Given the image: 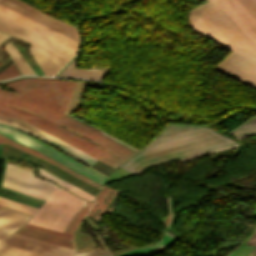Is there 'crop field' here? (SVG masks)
Masks as SVG:
<instances>
[{"label":"crop field","mask_w":256,"mask_h":256,"mask_svg":"<svg viewBox=\"0 0 256 256\" xmlns=\"http://www.w3.org/2000/svg\"><path fill=\"white\" fill-rule=\"evenodd\" d=\"M189 18L195 30L232 50L214 69L256 88V0H208Z\"/></svg>","instance_id":"crop-field-1"},{"label":"crop field","mask_w":256,"mask_h":256,"mask_svg":"<svg viewBox=\"0 0 256 256\" xmlns=\"http://www.w3.org/2000/svg\"><path fill=\"white\" fill-rule=\"evenodd\" d=\"M20 107L28 109L40 116H43L55 123L63 119L66 114L44 105L36 100L0 92V114L20 119L46 133L71 144L72 146L92 155L93 157L117 167L128 157L139 149L87 124L70 115H68L61 124L87 136L94 142L27 110L15 108Z\"/></svg>","instance_id":"crop-field-2"},{"label":"crop field","mask_w":256,"mask_h":256,"mask_svg":"<svg viewBox=\"0 0 256 256\" xmlns=\"http://www.w3.org/2000/svg\"><path fill=\"white\" fill-rule=\"evenodd\" d=\"M231 142L235 141L204 125L168 124L160 135L120 167L137 174L157 163Z\"/></svg>","instance_id":"crop-field-3"},{"label":"crop field","mask_w":256,"mask_h":256,"mask_svg":"<svg viewBox=\"0 0 256 256\" xmlns=\"http://www.w3.org/2000/svg\"><path fill=\"white\" fill-rule=\"evenodd\" d=\"M0 13L17 21L20 22L48 37H51L75 50L78 51V45L79 43L0 4ZM0 14V26L4 27L6 29L12 30L14 32H17L43 46H45L46 48L50 49L51 51L67 58V59H71L76 53L77 51L51 39L48 38L20 23H17L3 15Z\"/></svg>","instance_id":"crop-field-4"},{"label":"crop field","mask_w":256,"mask_h":256,"mask_svg":"<svg viewBox=\"0 0 256 256\" xmlns=\"http://www.w3.org/2000/svg\"><path fill=\"white\" fill-rule=\"evenodd\" d=\"M75 82L59 79L25 78L2 84L16 90V93L3 89L0 91L36 99L63 112Z\"/></svg>","instance_id":"crop-field-5"},{"label":"crop field","mask_w":256,"mask_h":256,"mask_svg":"<svg viewBox=\"0 0 256 256\" xmlns=\"http://www.w3.org/2000/svg\"><path fill=\"white\" fill-rule=\"evenodd\" d=\"M84 202L85 200L58 187L29 224L62 232L68 220Z\"/></svg>","instance_id":"crop-field-6"},{"label":"crop field","mask_w":256,"mask_h":256,"mask_svg":"<svg viewBox=\"0 0 256 256\" xmlns=\"http://www.w3.org/2000/svg\"><path fill=\"white\" fill-rule=\"evenodd\" d=\"M0 134L5 135L11 139H14L28 147H31L49 157H51V158L61 162L62 164L74 169L75 171L89 177L90 179H92L102 185L106 179L105 176L91 170L88 167H85V166L79 164L78 162L74 161L73 159L64 155L63 153L57 151L56 149L34 139L33 137H31L19 130H16L14 128L7 127V126L0 124Z\"/></svg>","instance_id":"crop-field-7"},{"label":"crop field","mask_w":256,"mask_h":256,"mask_svg":"<svg viewBox=\"0 0 256 256\" xmlns=\"http://www.w3.org/2000/svg\"><path fill=\"white\" fill-rule=\"evenodd\" d=\"M3 187L46 200L57 186L33 177L31 171L7 163Z\"/></svg>","instance_id":"crop-field-8"},{"label":"crop field","mask_w":256,"mask_h":256,"mask_svg":"<svg viewBox=\"0 0 256 256\" xmlns=\"http://www.w3.org/2000/svg\"><path fill=\"white\" fill-rule=\"evenodd\" d=\"M0 3L79 42L76 28L60 20L49 17L19 0H0Z\"/></svg>","instance_id":"crop-field-9"},{"label":"crop field","mask_w":256,"mask_h":256,"mask_svg":"<svg viewBox=\"0 0 256 256\" xmlns=\"http://www.w3.org/2000/svg\"><path fill=\"white\" fill-rule=\"evenodd\" d=\"M116 190L103 186L94 203L86 201L77 213L70 219L64 232L73 234L84 215H90L96 221L103 214ZM63 232V231H62Z\"/></svg>","instance_id":"crop-field-10"},{"label":"crop field","mask_w":256,"mask_h":256,"mask_svg":"<svg viewBox=\"0 0 256 256\" xmlns=\"http://www.w3.org/2000/svg\"><path fill=\"white\" fill-rule=\"evenodd\" d=\"M43 140L69 152L70 154L74 155L75 157L83 160L85 163H87L92 168H94L106 175H109L115 169V168L93 158L92 156L72 147L71 145L49 135V134Z\"/></svg>","instance_id":"crop-field-11"},{"label":"crop field","mask_w":256,"mask_h":256,"mask_svg":"<svg viewBox=\"0 0 256 256\" xmlns=\"http://www.w3.org/2000/svg\"><path fill=\"white\" fill-rule=\"evenodd\" d=\"M30 219V216L20 212L4 209L0 211V241L8 237L22 227Z\"/></svg>","instance_id":"crop-field-12"},{"label":"crop field","mask_w":256,"mask_h":256,"mask_svg":"<svg viewBox=\"0 0 256 256\" xmlns=\"http://www.w3.org/2000/svg\"><path fill=\"white\" fill-rule=\"evenodd\" d=\"M4 242H8L14 245H18L48 256H72V253L65 252L56 248H52L46 245H42L33 241H29L20 237L11 235Z\"/></svg>","instance_id":"crop-field-13"},{"label":"crop field","mask_w":256,"mask_h":256,"mask_svg":"<svg viewBox=\"0 0 256 256\" xmlns=\"http://www.w3.org/2000/svg\"><path fill=\"white\" fill-rule=\"evenodd\" d=\"M0 143H7V144H9L11 146L19 148V149H21L23 151H26V152L30 153V154L38 156V157H40V158H42V159H44V160H46V161H48V162L58 166L59 168H61V169L65 170V171L71 173L72 175H74V176H76V177L86 181L87 183H89V184H91V185H93V186H95V187H97L99 189L102 186V185H100V184H98V183L88 179L87 177H85V176L75 172L74 170H72V169H70V168L60 164L59 162H57V161H55V160H53V159H51V158H49V157L39 153V152H37V151H35V150L31 149V148H28V147H26V146H24V145H22V144H20V143H18L16 141H14V140H11V139H9L7 137H4V136L0 135Z\"/></svg>","instance_id":"crop-field-14"},{"label":"crop field","mask_w":256,"mask_h":256,"mask_svg":"<svg viewBox=\"0 0 256 256\" xmlns=\"http://www.w3.org/2000/svg\"><path fill=\"white\" fill-rule=\"evenodd\" d=\"M108 70L76 68L73 60L58 76L93 78L102 81Z\"/></svg>","instance_id":"crop-field-15"},{"label":"crop field","mask_w":256,"mask_h":256,"mask_svg":"<svg viewBox=\"0 0 256 256\" xmlns=\"http://www.w3.org/2000/svg\"><path fill=\"white\" fill-rule=\"evenodd\" d=\"M16 233H20V234H23V235H26V236L37 238V239H40V240H43V241H47V242H50V243H53V244H57V245L64 246V247L75 250L73 241L71 239L59 237V236H56V235L40 232V231H37V230L25 228V227L21 228Z\"/></svg>","instance_id":"crop-field-16"},{"label":"crop field","mask_w":256,"mask_h":256,"mask_svg":"<svg viewBox=\"0 0 256 256\" xmlns=\"http://www.w3.org/2000/svg\"><path fill=\"white\" fill-rule=\"evenodd\" d=\"M0 31L5 32V33L10 34V35H14V36H16V37H18V38H20V39L30 43V45L32 47H34L35 49L40 51L42 54H44L46 57H48L49 59H51L52 61H54L56 64H58L61 67L68 62V60H66V59H64V58L54 54L53 52H51L50 50L46 49L45 47H43V46H41V45H39V44H37V43H35V42L25 38V37H23V36H21V35H19L17 33L11 32V31L6 30V29H3L1 27H0Z\"/></svg>","instance_id":"crop-field-17"},{"label":"crop field","mask_w":256,"mask_h":256,"mask_svg":"<svg viewBox=\"0 0 256 256\" xmlns=\"http://www.w3.org/2000/svg\"><path fill=\"white\" fill-rule=\"evenodd\" d=\"M163 234H164L163 237L153 245H150V246H147V247H144V248H141V249H137V250L127 251V252L121 253L120 255L121 256H128V255H132V254H138V255L151 254L155 250H157L158 248H160V247L172 242L173 240L177 239L174 236H172V235H170L166 232H164Z\"/></svg>","instance_id":"crop-field-18"},{"label":"crop field","mask_w":256,"mask_h":256,"mask_svg":"<svg viewBox=\"0 0 256 256\" xmlns=\"http://www.w3.org/2000/svg\"><path fill=\"white\" fill-rule=\"evenodd\" d=\"M4 48L8 52V54L18 67V69L20 70L21 74H35L33 70L29 67L25 59L21 56V54L16 50V48L12 44L7 43Z\"/></svg>","instance_id":"crop-field-19"},{"label":"crop field","mask_w":256,"mask_h":256,"mask_svg":"<svg viewBox=\"0 0 256 256\" xmlns=\"http://www.w3.org/2000/svg\"><path fill=\"white\" fill-rule=\"evenodd\" d=\"M30 52L40 65L41 69L45 73V75H53L56 71H58L61 67L53 63L51 60L46 58L44 55H42L40 52L35 50L34 48L30 47Z\"/></svg>","instance_id":"crop-field-20"},{"label":"crop field","mask_w":256,"mask_h":256,"mask_svg":"<svg viewBox=\"0 0 256 256\" xmlns=\"http://www.w3.org/2000/svg\"><path fill=\"white\" fill-rule=\"evenodd\" d=\"M0 256H44V255L2 242L0 243Z\"/></svg>","instance_id":"crop-field-21"},{"label":"crop field","mask_w":256,"mask_h":256,"mask_svg":"<svg viewBox=\"0 0 256 256\" xmlns=\"http://www.w3.org/2000/svg\"><path fill=\"white\" fill-rule=\"evenodd\" d=\"M236 138L240 139L246 136L256 135V116L250 118L238 128L228 132Z\"/></svg>","instance_id":"crop-field-22"},{"label":"crop field","mask_w":256,"mask_h":256,"mask_svg":"<svg viewBox=\"0 0 256 256\" xmlns=\"http://www.w3.org/2000/svg\"><path fill=\"white\" fill-rule=\"evenodd\" d=\"M0 190L10 192V193H12V194H14L18 197L29 199L31 201L21 199V198H18V197H14V196H11V195L3 194V193H0V197L10 199V200H13V201H16V202H20V203H23V204H27V205H30V206H33V207L39 208L41 206V204L44 202V200L37 199V198L31 197V196H27V195H24V194H21V193H17V192L11 191V190H7V189L1 188V187H0Z\"/></svg>","instance_id":"crop-field-23"},{"label":"crop field","mask_w":256,"mask_h":256,"mask_svg":"<svg viewBox=\"0 0 256 256\" xmlns=\"http://www.w3.org/2000/svg\"><path fill=\"white\" fill-rule=\"evenodd\" d=\"M0 123H4V124H8V125H12L14 127H17L19 129L25 130L27 132H30L40 138H42L43 136L46 135V133L20 121L17 119H13V118H9V117H5V116H1L0 115Z\"/></svg>","instance_id":"crop-field-24"},{"label":"crop field","mask_w":256,"mask_h":256,"mask_svg":"<svg viewBox=\"0 0 256 256\" xmlns=\"http://www.w3.org/2000/svg\"><path fill=\"white\" fill-rule=\"evenodd\" d=\"M39 171H40V174L44 175V176H47L53 180H55L56 182H58L60 185H62L64 188L86 198V199H90V200H93L95 196L83 191L82 189L70 184V183H67V182H64L56 177H54L53 175L43 171L41 168H39Z\"/></svg>","instance_id":"crop-field-25"},{"label":"crop field","mask_w":256,"mask_h":256,"mask_svg":"<svg viewBox=\"0 0 256 256\" xmlns=\"http://www.w3.org/2000/svg\"><path fill=\"white\" fill-rule=\"evenodd\" d=\"M0 205L22 211V212H25V213L30 214V215H33L35 213V211L37 210V208H33V207H30V206H27V205L16 203V202L6 200V199H3V198H0Z\"/></svg>","instance_id":"crop-field-26"},{"label":"crop field","mask_w":256,"mask_h":256,"mask_svg":"<svg viewBox=\"0 0 256 256\" xmlns=\"http://www.w3.org/2000/svg\"><path fill=\"white\" fill-rule=\"evenodd\" d=\"M95 236L97 237L98 241L100 242L101 246L104 250L99 251H89V252H80L75 253L74 256H113V254L109 251V249L105 246L104 242L100 238L99 234L95 233Z\"/></svg>","instance_id":"crop-field-27"},{"label":"crop field","mask_w":256,"mask_h":256,"mask_svg":"<svg viewBox=\"0 0 256 256\" xmlns=\"http://www.w3.org/2000/svg\"><path fill=\"white\" fill-rule=\"evenodd\" d=\"M19 74H20V73H19L18 70L16 69L14 63H12L10 66H8L6 69H4V70L0 73V79L12 77V76L19 75Z\"/></svg>","instance_id":"crop-field-28"},{"label":"crop field","mask_w":256,"mask_h":256,"mask_svg":"<svg viewBox=\"0 0 256 256\" xmlns=\"http://www.w3.org/2000/svg\"><path fill=\"white\" fill-rule=\"evenodd\" d=\"M234 146H238V144L235 143V144L227 145V146L220 147V148H217V149H213V150H209V151H206V152H202V153H198V154H195V155H191V156H188V157L180 158V160H181L182 162H184V161H186V160H188V159H191V158H195V157L207 155V154H210V153H212V152L219 151V150H223V149H227V148H231V147H234Z\"/></svg>","instance_id":"crop-field-29"},{"label":"crop field","mask_w":256,"mask_h":256,"mask_svg":"<svg viewBox=\"0 0 256 256\" xmlns=\"http://www.w3.org/2000/svg\"><path fill=\"white\" fill-rule=\"evenodd\" d=\"M25 227L37 229V230H40V231H44V232H48V233H52V234H56V235H59V236H63V237H67V238H71L72 239V235H69V234H65V233H61V232H57V231H53V230H49V229H45V228L29 225V224L25 225Z\"/></svg>","instance_id":"crop-field-30"},{"label":"crop field","mask_w":256,"mask_h":256,"mask_svg":"<svg viewBox=\"0 0 256 256\" xmlns=\"http://www.w3.org/2000/svg\"><path fill=\"white\" fill-rule=\"evenodd\" d=\"M13 235L20 236V237H23V238H26V239H29V240H33V241H36V242H39V243H43V244H46V245H49V246H52V247H56V248H59V249H62V250L74 253V250H70V249H67V248H64V247L53 245V244H50V243H47V242H43V241H40V240H37V239H33V238L26 237V236H23V235H20V234H16V233H14Z\"/></svg>","instance_id":"crop-field-31"},{"label":"crop field","mask_w":256,"mask_h":256,"mask_svg":"<svg viewBox=\"0 0 256 256\" xmlns=\"http://www.w3.org/2000/svg\"><path fill=\"white\" fill-rule=\"evenodd\" d=\"M5 165H6V158H0V186H2V183H3Z\"/></svg>","instance_id":"crop-field-32"},{"label":"crop field","mask_w":256,"mask_h":256,"mask_svg":"<svg viewBox=\"0 0 256 256\" xmlns=\"http://www.w3.org/2000/svg\"><path fill=\"white\" fill-rule=\"evenodd\" d=\"M247 244L256 246V233L251 237Z\"/></svg>","instance_id":"crop-field-33"},{"label":"crop field","mask_w":256,"mask_h":256,"mask_svg":"<svg viewBox=\"0 0 256 256\" xmlns=\"http://www.w3.org/2000/svg\"><path fill=\"white\" fill-rule=\"evenodd\" d=\"M9 35H6L4 33H0V43L3 42Z\"/></svg>","instance_id":"crop-field-34"},{"label":"crop field","mask_w":256,"mask_h":256,"mask_svg":"<svg viewBox=\"0 0 256 256\" xmlns=\"http://www.w3.org/2000/svg\"><path fill=\"white\" fill-rule=\"evenodd\" d=\"M250 256H256V247H254V249H253V251H252Z\"/></svg>","instance_id":"crop-field-35"},{"label":"crop field","mask_w":256,"mask_h":256,"mask_svg":"<svg viewBox=\"0 0 256 256\" xmlns=\"http://www.w3.org/2000/svg\"><path fill=\"white\" fill-rule=\"evenodd\" d=\"M0 208H2V206H0Z\"/></svg>","instance_id":"crop-field-36"}]
</instances>
